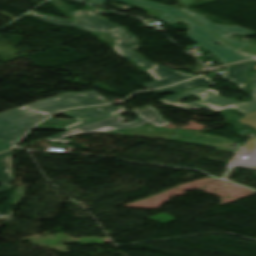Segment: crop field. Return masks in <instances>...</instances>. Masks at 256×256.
Wrapping results in <instances>:
<instances>
[{
    "label": "crop field",
    "mask_w": 256,
    "mask_h": 256,
    "mask_svg": "<svg viewBox=\"0 0 256 256\" xmlns=\"http://www.w3.org/2000/svg\"><path fill=\"white\" fill-rule=\"evenodd\" d=\"M238 121L256 130V111L244 114Z\"/></svg>",
    "instance_id": "d1516ede"
},
{
    "label": "crop field",
    "mask_w": 256,
    "mask_h": 256,
    "mask_svg": "<svg viewBox=\"0 0 256 256\" xmlns=\"http://www.w3.org/2000/svg\"><path fill=\"white\" fill-rule=\"evenodd\" d=\"M214 84V82H212L210 79H208L207 77L203 76L197 79H193V80H189L168 88H164V89H159V90H155L156 93H167V92H177L189 87H193V86H198V85H211Z\"/></svg>",
    "instance_id": "3316defc"
},
{
    "label": "crop field",
    "mask_w": 256,
    "mask_h": 256,
    "mask_svg": "<svg viewBox=\"0 0 256 256\" xmlns=\"http://www.w3.org/2000/svg\"><path fill=\"white\" fill-rule=\"evenodd\" d=\"M115 40H116V45H114V49L121 56L127 59H132L140 65L153 66L152 69H145V71L151 74V76H153L156 80L154 83L144 84V86L148 88L166 86L171 83L186 80L192 76H195L192 74H186L180 71L171 70L162 65L155 64L140 55H137L134 52V50L139 48L138 46L139 41L132 34L116 37Z\"/></svg>",
    "instance_id": "412701ff"
},
{
    "label": "crop field",
    "mask_w": 256,
    "mask_h": 256,
    "mask_svg": "<svg viewBox=\"0 0 256 256\" xmlns=\"http://www.w3.org/2000/svg\"><path fill=\"white\" fill-rule=\"evenodd\" d=\"M183 5H190V4H194V3H198L201 2L203 0H180Z\"/></svg>",
    "instance_id": "cbeb9de0"
},
{
    "label": "crop field",
    "mask_w": 256,
    "mask_h": 256,
    "mask_svg": "<svg viewBox=\"0 0 256 256\" xmlns=\"http://www.w3.org/2000/svg\"><path fill=\"white\" fill-rule=\"evenodd\" d=\"M116 1L138 4L143 7L157 9L160 12L164 13V14L160 15L159 18H161L167 24H171L176 21L184 20V22H186L190 27L188 30V37L190 39H192L193 41L198 42L205 49H208L218 59H220L224 64L256 57L253 54L238 50L236 48H233V47L223 43L222 40L215 37L213 34H211L205 28L198 25L197 23L192 21L190 18H188L187 16L182 14L175 7L160 5V4L154 3L152 1H146V0H116ZM106 2H107V0H90V3H96V4H104ZM174 17H178L180 19L174 20ZM216 42H220L221 46H217L215 44Z\"/></svg>",
    "instance_id": "ac0d7876"
},
{
    "label": "crop field",
    "mask_w": 256,
    "mask_h": 256,
    "mask_svg": "<svg viewBox=\"0 0 256 256\" xmlns=\"http://www.w3.org/2000/svg\"><path fill=\"white\" fill-rule=\"evenodd\" d=\"M104 33H106L112 37H116V36H120V35L129 34V31L126 28H118L116 30L107 31Z\"/></svg>",
    "instance_id": "22f410ed"
},
{
    "label": "crop field",
    "mask_w": 256,
    "mask_h": 256,
    "mask_svg": "<svg viewBox=\"0 0 256 256\" xmlns=\"http://www.w3.org/2000/svg\"><path fill=\"white\" fill-rule=\"evenodd\" d=\"M246 51L252 52L256 54V46H251L250 48H248Z\"/></svg>",
    "instance_id": "5142ce71"
},
{
    "label": "crop field",
    "mask_w": 256,
    "mask_h": 256,
    "mask_svg": "<svg viewBox=\"0 0 256 256\" xmlns=\"http://www.w3.org/2000/svg\"><path fill=\"white\" fill-rule=\"evenodd\" d=\"M127 111L123 107H101V108H92V109H85V110H75V111H68L63 114L71 116L76 119L77 123L66 126L65 129H73L88 123L101 120L107 117H111L114 115L121 114Z\"/></svg>",
    "instance_id": "d8731c3e"
},
{
    "label": "crop field",
    "mask_w": 256,
    "mask_h": 256,
    "mask_svg": "<svg viewBox=\"0 0 256 256\" xmlns=\"http://www.w3.org/2000/svg\"><path fill=\"white\" fill-rule=\"evenodd\" d=\"M10 152H12V151H9V152H7V153L1 154L0 157L4 156V155H6V154H8V153H10Z\"/></svg>",
    "instance_id": "733c2abd"
},
{
    "label": "crop field",
    "mask_w": 256,
    "mask_h": 256,
    "mask_svg": "<svg viewBox=\"0 0 256 256\" xmlns=\"http://www.w3.org/2000/svg\"><path fill=\"white\" fill-rule=\"evenodd\" d=\"M98 13H110L108 11L98 10L93 8L91 11H76V19L74 21H67L60 18L48 16L45 14H41L38 12L32 11L27 15H31L37 19L56 23V24H66V25H74L78 28L87 30V31H107L111 29L118 28L120 26L113 24L107 21L104 17L98 15Z\"/></svg>",
    "instance_id": "dd49c442"
},
{
    "label": "crop field",
    "mask_w": 256,
    "mask_h": 256,
    "mask_svg": "<svg viewBox=\"0 0 256 256\" xmlns=\"http://www.w3.org/2000/svg\"><path fill=\"white\" fill-rule=\"evenodd\" d=\"M182 11H184L186 14H188L194 20L199 22L201 25H203L204 27L209 29L211 32H213L214 34L219 36L221 39H223L227 43H229L239 49H243L251 44L250 43H239L237 41L227 38L226 36L231 35V34H236V33H239V34H242L245 36H252V35L256 34L255 32H252L250 30H247V29L241 28V27L212 24L203 16L193 13L185 8L182 9Z\"/></svg>",
    "instance_id": "e52e79f7"
},
{
    "label": "crop field",
    "mask_w": 256,
    "mask_h": 256,
    "mask_svg": "<svg viewBox=\"0 0 256 256\" xmlns=\"http://www.w3.org/2000/svg\"><path fill=\"white\" fill-rule=\"evenodd\" d=\"M95 92L67 93L28 105L33 108L27 111L15 109L0 114V152L13 145L32 125L55 112L65 108L109 103Z\"/></svg>",
    "instance_id": "8a807250"
},
{
    "label": "crop field",
    "mask_w": 256,
    "mask_h": 256,
    "mask_svg": "<svg viewBox=\"0 0 256 256\" xmlns=\"http://www.w3.org/2000/svg\"><path fill=\"white\" fill-rule=\"evenodd\" d=\"M29 108H30V107L25 106V107H22V108H20V109L26 110V109H29Z\"/></svg>",
    "instance_id": "d9b57169"
},
{
    "label": "crop field",
    "mask_w": 256,
    "mask_h": 256,
    "mask_svg": "<svg viewBox=\"0 0 256 256\" xmlns=\"http://www.w3.org/2000/svg\"><path fill=\"white\" fill-rule=\"evenodd\" d=\"M254 62H256V60L226 66V70L223 71V74L219 77L226 78L232 83L238 85L244 91H248V78L246 73Z\"/></svg>",
    "instance_id": "5a996713"
},
{
    "label": "crop field",
    "mask_w": 256,
    "mask_h": 256,
    "mask_svg": "<svg viewBox=\"0 0 256 256\" xmlns=\"http://www.w3.org/2000/svg\"><path fill=\"white\" fill-rule=\"evenodd\" d=\"M11 156L12 154L0 160V182L3 183L2 187H0V192L13 188L9 184L12 181V173L7 171V169L11 168Z\"/></svg>",
    "instance_id": "28ad6ade"
},
{
    "label": "crop field",
    "mask_w": 256,
    "mask_h": 256,
    "mask_svg": "<svg viewBox=\"0 0 256 256\" xmlns=\"http://www.w3.org/2000/svg\"><path fill=\"white\" fill-rule=\"evenodd\" d=\"M251 82H252V88H253L251 97L254 100L247 103H241L228 98L220 97L218 96V94L220 93L218 90L204 88V87H198L190 91H186V92L179 93L167 98L160 99L159 101L166 104L175 105V106H179L187 109L205 108L207 110L214 111V112H218L224 108H230L232 106L238 111L246 113L249 111L256 110V72L251 73ZM201 94H205V95L203 97H200L199 95ZM193 95H196L201 99L198 101H194L186 104H181L177 102V100L179 99L186 98Z\"/></svg>",
    "instance_id": "34b2d1b8"
},
{
    "label": "crop field",
    "mask_w": 256,
    "mask_h": 256,
    "mask_svg": "<svg viewBox=\"0 0 256 256\" xmlns=\"http://www.w3.org/2000/svg\"><path fill=\"white\" fill-rule=\"evenodd\" d=\"M139 116L140 118L134 122L124 123L122 124L120 121L125 120L120 115L114 116L108 119H104L101 121H97L91 124H88L86 126L69 130L67 132L59 133L56 136L47 138V140L51 142L60 141L65 144L70 143L71 141H67L65 139H62L65 136L72 135V134H79L84 132H93V131H111V130H118V129H124V128H130V127H137L146 123H151L157 127H162L170 122H166L162 119V117L159 115L157 110L153 109L151 106L145 107L144 110L139 109L134 112H132Z\"/></svg>",
    "instance_id": "f4fd0767"
}]
</instances>
